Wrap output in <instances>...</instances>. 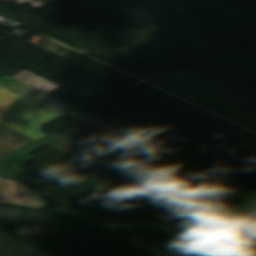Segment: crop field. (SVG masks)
Returning <instances> with one entry per match:
<instances>
[{
    "mask_svg": "<svg viewBox=\"0 0 256 256\" xmlns=\"http://www.w3.org/2000/svg\"><path fill=\"white\" fill-rule=\"evenodd\" d=\"M62 115L0 86V123L37 140L41 125Z\"/></svg>",
    "mask_w": 256,
    "mask_h": 256,
    "instance_id": "obj_1",
    "label": "crop field"
},
{
    "mask_svg": "<svg viewBox=\"0 0 256 256\" xmlns=\"http://www.w3.org/2000/svg\"><path fill=\"white\" fill-rule=\"evenodd\" d=\"M45 145L35 141L3 158L0 159V172L13 170L4 173V175L23 183L31 188L38 187L44 184H48L47 182L19 169L20 167L24 166L25 164L31 162L35 158L29 156L30 154L34 153L35 151L41 149Z\"/></svg>",
    "mask_w": 256,
    "mask_h": 256,
    "instance_id": "obj_2",
    "label": "crop field"
},
{
    "mask_svg": "<svg viewBox=\"0 0 256 256\" xmlns=\"http://www.w3.org/2000/svg\"><path fill=\"white\" fill-rule=\"evenodd\" d=\"M19 191L22 194L32 195L34 197H43L35 190L26 187L20 183ZM34 197L18 194L16 191V181L0 177V204H12L29 207L35 211L47 206V201L36 199Z\"/></svg>",
    "mask_w": 256,
    "mask_h": 256,
    "instance_id": "obj_3",
    "label": "crop field"
},
{
    "mask_svg": "<svg viewBox=\"0 0 256 256\" xmlns=\"http://www.w3.org/2000/svg\"><path fill=\"white\" fill-rule=\"evenodd\" d=\"M0 85L40 105L53 97L11 77H0Z\"/></svg>",
    "mask_w": 256,
    "mask_h": 256,
    "instance_id": "obj_4",
    "label": "crop field"
},
{
    "mask_svg": "<svg viewBox=\"0 0 256 256\" xmlns=\"http://www.w3.org/2000/svg\"><path fill=\"white\" fill-rule=\"evenodd\" d=\"M34 140L0 124V157Z\"/></svg>",
    "mask_w": 256,
    "mask_h": 256,
    "instance_id": "obj_5",
    "label": "crop field"
},
{
    "mask_svg": "<svg viewBox=\"0 0 256 256\" xmlns=\"http://www.w3.org/2000/svg\"><path fill=\"white\" fill-rule=\"evenodd\" d=\"M12 77H15L41 91H44L48 94L54 92L55 90H57L58 88H60L61 86L58 85V84H55L49 80H46L40 76H37L33 73H30L26 70H23L17 74H15L14 76Z\"/></svg>",
    "mask_w": 256,
    "mask_h": 256,
    "instance_id": "obj_6",
    "label": "crop field"
},
{
    "mask_svg": "<svg viewBox=\"0 0 256 256\" xmlns=\"http://www.w3.org/2000/svg\"><path fill=\"white\" fill-rule=\"evenodd\" d=\"M43 106L54 110L62 115H65L69 118L83 112L57 98H52L51 100H49L47 103H45ZM72 119V118H71Z\"/></svg>",
    "mask_w": 256,
    "mask_h": 256,
    "instance_id": "obj_7",
    "label": "crop field"
}]
</instances>
